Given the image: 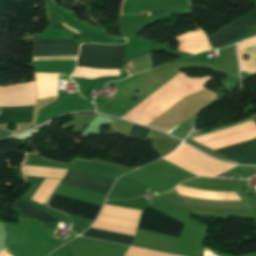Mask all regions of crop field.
<instances>
[{
    "label": "crop field",
    "mask_w": 256,
    "mask_h": 256,
    "mask_svg": "<svg viewBox=\"0 0 256 256\" xmlns=\"http://www.w3.org/2000/svg\"><path fill=\"white\" fill-rule=\"evenodd\" d=\"M255 27H256V11L253 12L251 15L241 19L237 23L224 27L219 33L211 37H208L207 39L213 48H219L227 44L228 42L236 39L237 37L243 35L244 33L252 30ZM254 35H256V28L246 33L245 35L237 38L236 40L228 43L223 47L232 45L236 42H239L247 37H251Z\"/></svg>",
    "instance_id": "412701ff"
},
{
    "label": "crop field",
    "mask_w": 256,
    "mask_h": 256,
    "mask_svg": "<svg viewBox=\"0 0 256 256\" xmlns=\"http://www.w3.org/2000/svg\"><path fill=\"white\" fill-rule=\"evenodd\" d=\"M215 151L241 164H256V139Z\"/></svg>",
    "instance_id": "e52e79f7"
},
{
    "label": "crop field",
    "mask_w": 256,
    "mask_h": 256,
    "mask_svg": "<svg viewBox=\"0 0 256 256\" xmlns=\"http://www.w3.org/2000/svg\"><path fill=\"white\" fill-rule=\"evenodd\" d=\"M46 203H47V202H46ZM46 203H45V204H46Z\"/></svg>",
    "instance_id": "d1516ede"
},
{
    "label": "crop field",
    "mask_w": 256,
    "mask_h": 256,
    "mask_svg": "<svg viewBox=\"0 0 256 256\" xmlns=\"http://www.w3.org/2000/svg\"><path fill=\"white\" fill-rule=\"evenodd\" d=\"M62 183L107 195L113 181L69 170ZM49 206L68 214L85 217L91 220L95 219L101 208L100 206L56 194L53 195Z\"/></svg>",
    "instance_id": "8a807250"
},
{
    "label": "crop field",
    "mask_w": 256,
    "mask_h": 256,
    "mask_svg": "<svg viewBox=\"0 0 256 256\" xmlns=\"http://www.w3.org/2000/svg\"><path fill=\"white\" fill-rule=\"evenodd\" d=\"M78 49L76 41L34 40L33 56L77 55Z\"/></svg>",
    "instance_id": "dd49c442"
},
{
    "label": "crop field",
    "mask_w": 256,
    "mask_h": 256,
    "mask_svg": "<svg viewBox=\"0 0 256 256\" xmlns=\"http://www.w3.org/2000/svg\"><path fill=\"white\" fill-rule=\"evenodd\" d=\"M150 129L133 125L128 133V137L145 140Z\"/></svg>",
    "instance_id": "28ad6ade"
},
{
    "label": "crop field",
    "mask_w": 256,
    "mask_h": 256,
    "mask_svg": "<svg viewBox=\"0 0 256 256\" xmlns=\"http://www.w3.org/2000/svg\"><path fill=\"white\" fill-rule=\"evenodd\" d=\"M33 108H2L0 123L31 122Z\"/></svg>",
    "instance_id": "d8731c3e"
},
{
    "label": "crop field",
    "mask_w": 256,
    "mask_h": 256,
    "mask_svg": "<svg viewBox=\"0 0 256 256\" xmlns=\"http://www.w3.org/2000/svg\"><path fill=\"white\" fill-rule=\"evenodd\" d=\"M83 236L94 237L98 239H103L107 241H112L116 243L128 244L130 245L134 239V236L90 228L85 233L82 234Z\"/></svg>",
    "instance_id": "5a996713"
},
{
    "label": "crop field",
    "mask_w": 256,
    "mask_h": 256,
    "mask_svg": "<svg viewBox=\"0 0 256 256\" xmlns=\"http://www.w3.org/2000/svg\"><path fill=\"white\" fill-rule=\"evenodd\" d=\"M182 225V223L147 207L138 228L178 237Z\"/></svg>",
    "instance_id": "f4fd0767"
},
{
    "label": "crop field",
    "mask_w": 256,
    "mask_h": 256,
    "mask_svg": "<svg viewBox=\"0 0 256 256\" xmlns=\"http://www.w3.org/2000/svg\"><path fill=\"white\" fill-rule=\"evenodd\" d=\"M164 158L197 176L216 177L236 167L212 160L185 144Z\"/></svg>",
    "instance_id": "ac0d7876"
},
{
    "label": "crop field",
    "mask_w": 256,
    "mask_h": 256,
    "mask_svg": "<svg viewBox=\"0 0 256 256\" xmlns=\"http://www.w3.org/2000/svg\"><path fill=\"white\" fill-rule=\"evenodd\" d=\"M23 214H25L29 218H35L45 224H52L58 221L57 219L39 211L38 209L22 202L18 201L15 205Z\"/></svg>",
    "instance_id": "3316defc"
},
{
    "label": "crop field",
    "mask_w": 256,
    "mask_h": 256,
    "mask_svg": "<svg viewBox=\"0 0 256 256\" xmlns=\"http://www.w3.org/2000/svg\"><path fill=\"white\" fill-rule=\"evenodd\" d=\"M80 50L125 52V46L82 45ZM84 51L79 52L77 66L120 69L129 62L125 61V53Z\"/></svg>",
    "instance_id": "34b2d1b8"
}]
</instances>
